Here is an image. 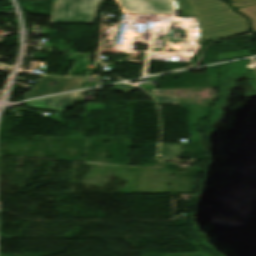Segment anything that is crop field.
Instances as JSON below:
<instances>
[{
  "label": "crop field",
  "mask_w": 256,
  "mask_h": 256,
  "mask_svg": "<svg viewBox=\"0 0 256 256\" xmlns=\"http://www.w3.org/2000/svg\"><path fill=\"white\" fill-rule=\"evenodd\" d=\"M174 4L184 15H197L202 25L201 40L249 32L245 19L219 0H174Z\"/></svg>",
  "instance_id": "1"
},
{
  "label": "crop field",
  "mask_w": 256,
  "mask_h": 256,
  "mask_svg": "<svg viewBox=\"0 0 256 256\" xmlns=\"http://www.w3.org/2000/svg\"><path fill=\"white\" fill-rule=\"evenodd\" d=\"M101 0H54L52 23H93Z\"/></svg>",
  "instance_id": "2"
},
{
  "label": "crop field",
  "mask_w": 256,
  "mask_h": 256,
  "mask_svg": "<svg viewBox=\"0 0 256 256\" xmlns=\"http://www.w3.org/2000/svg\"><path fill=\"white\" fill-rule=\"evenodd\" d=\"M85 78H56L50 76H41L31 93H24V98L39 97L48 94L79 89ZM57 81V85L50 83Z\"/></svg>",
  "instance_id": "3"
},
{
  "label": "crop field",
  "mask_w": 256,
  "mask_h": 256,
  "mask_svg": "<svg viewBox=\"0 0 256 256\" xmlns=\"http://www.w3.org/2000/svg\"><path fill=\"white\" fill-rule=\"evenodd\" d=\"M129 13H171L169 0H118Z\"/></svg>",
  "instance_id": "4"
},
{
  "label": "crop field",
  "mask_w": 256,
  "mask_h": 256,
  "mask_svg": "<svg viewBox=\"0 0 256 256\" xmlns=\"http://www.w3.org/2000/svg\"><path fill=\"white\" fill-rule=\"evenodd\" d=\"M80 92L38 99L30 102H26L28 107L55 111L65 113V111L69 108H73ZM55 100H57V104H55Z\"/></svg>",
  "instance_id": "5"
},
{
  "label": "crop field",
  "mask_w": 256,
  "mask_h": 256,
  "mask_svg": "<svg viewBox=\"0 0 256 256\" xmlns=\"http://www.w3.org/2000/svg\"><path fill=\"white\" fill-rule=\"evenodd\" d=\"M237 11L251 19L252 29L256 32V5L238 9Z\"/></svg>",
  "instance_id": "6"
},
{
  "label": "crop field",
  "mask_w": 256,
  "mask_h": 256,
  "mask_svg": "<svg viewBox=\"0 0 256 256\" xmlns=\"http://www.w3.org/2000/svg\"><path fill=\"white\" fill-rule=\"evenodd\" d=\"M156 93V89H153L152 97L157 101L158 104L174 105L178 100L173 96H156Z\"/></svg>",
  "instance_id": "7"
},
{
  "label": "crop field",
  "mask_w": 256,
  "mask_h": 256,
  "mask_svg": "<svg viewBox=\"0 0 256 256\" xmlns=\"http://www.w3.org/2000/svg\"><path fill=\"white\" fill-rule=\"evenodd\" d=\"M114 89L117 91L123 92L125 94L131 93L136 90L135 87H133L127 83L118 84L115 86Z\"/></svg>",
  "instance_id": "8"
}]
</instances>
